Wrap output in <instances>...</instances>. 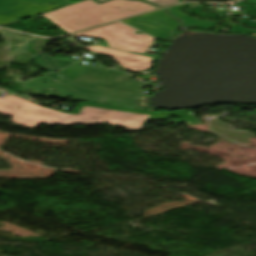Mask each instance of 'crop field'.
<instances>
[{
	"mask_svg": "<svg viewBox=\"0 0 256 256\" xmlns=\"http://www.w3.org/2000/svg\"><path fill=\"white\" fill-rule=\"evenodd\" d=\"M87 50L93 51L95 53H102L107 56L115 58L120 65H122L125 69H128L132 72H139L143 70H147L150 68V58H146L143 56L125 53L113 49H108L100 46H92V47H82Z\"/></svg>",
	"mask_w": 256,
	"mask_h": 256,
	"instance_id": "crop-field-6",
	"label": "crop field"
},
{
	"mask_svg": "<svg viewBox=\"0 0 256 256\" xmlns=\"http://www.w3.org/2000/svg\"><path fill=\"white\" fill-rule=\"evenodd\" d=\"M157 8L139 0H86L42 15L71 33Z\"/></svg>",
	"mask_w": 256,
	"mask_h": 256,
	"instance_id": "crop-field-3",
	"label": "crop field"
},
{
	"mask_svg": "<svg viewBox=\"0 0 256 256\" xmlns=\"http://www.w3.org/2000/svg\"><path fill=\"white\" fill-rule=\"evenodd\" d=\"M6 37L12 38V39H15V40H18V41H22V42L28 40L24 37H20V36H16V35H10V34H6Z\"/></svg>",
	"mask_w": 256,
	"mask_h": 256,
	"instance_id": "crop-field-13",
	"label": "crop field"
},
{
	"mask_svg": "<svg viewBox=\"0 0 256 256\" xmlns=\"http://www.w3.org/2000/svg\"><path fill=\"white\" fill-rule=\"evenodd\" d=\"M135 31L136 30L118 22L87 30L72 36L101 37L107 41L109 47L120 49L126 52L133 51L144 54L149 45L152 43L153 38L144 34H132Z\"/></svg>",
	"mask_w": 256,
	"mask_h": 256,
	"instance_id": "crop-field-4",
	"label": "crop field"
},
{
	"mask_svg": "<svg viewBox=\"0 0 256 256\" xmlns=\"http://www.w3.org/2000/svg\"><path fill=\"white\" fill-rule=\"evenodd\" d=\"M18 2L61 4V5H71L75 3L69 0H0V12H5L9 10L13 5L17 4Z\"/></svg>",
	"mask_w": 256,
	"mask_h": 256,
	"instance_id": "crop-field-9",
	"label": "crop field"
},
{
	"mask_svg": "<svg viewBox=\"0 0 256 256\" xmlns=\"http://www.w3.org/2000/svg\"><path fill=\"white\" fill-rule=\"evenodd\" d=\"M165 13L160 10L122 21L166 41L172 35L174 29L179 26V22Z\"/></svg>",
	"mask_w": 256,
	"mask_h": 256,
	"instance_id": "crop-field-5",
	"label": "crop field"
},
{
	"mask_svg": "<svg viewBox=\"0 0 256 256\" xmlns=\"http://www.w3.org/2000/svg\"><path fill=\"white\" fill-rule=\"evenodd\" d=\"M185 5H179L166 9V11L177 20L183 23L182 27H200L206 29H212L217 23L208 20L192 18L185 13L179 11Z\"/></svg>",
	"mask_w": 256,
	"mask_h": 256,
	"instance_id": "crop-field-7",
	"label": "crop field"
},
{
	"mask_svg": "<svg viewBox=\"0 0 256 256\" xmlns=\"http://www.w3.org/2000/svg\"><path fill=\"white\" fill-rule=\"evenodd\" d=\"M98 1H100V0H98ZM146 1H149L153 4H156V5L161 6V7L168 6L172 2V0H146Z\"/></svg>",
	"mask_w": 256,
	"mask_h": 256,
	"instance_id": "crop-field-11",
	"label": "crop field"
},
{
	"mask_svg": "<svg viewBox=\"0 0 256 256\" xmlns=\"http://www.w3.org/2000/svg\"><path fill=\"white\" fill-rule=\"evenodd\" d=\"M48 76L52 78L47 79L45 83L62 95L94 103L142 110L136 103L142 95L136 93L144 85L132 82L120 72L103 71L76 63L62 72ZM55 79L56 82L51 81ZM130 82L132 83L128 84ZM52 83L55 84L51 85ZM26 85L34 90L51 88L40 83L39 78L27 82ZM104 98L107 99L102 102Z\"/></svg>",
	"mask_w": 256,
	"mask_h": 256,
	"instance_id": "crop-field-2",
	"label": "crop field"
},
{
	"mask_svg": "<svg viewBox=\"0 0 256 256\" xmlns=\"http://www.w3.org/2000/svg\"><path fill=\"white\" fill-rule=\"evenodd\" d=\"M0 114L11 116L13 118L9 122L30 129L40 124L90 125L108 122L110 125L127 126V131H134L142 130L146 121L167 120L169 118V112L154 113L87 103H80L72 114H65L10 94L5 99L0 98Z\"/></svg>",
	"mask_w": 256,
	"mask_h": 256,
	"instance_id": "crop-field-1",
	"label": "crop field"
},
{
	"mask_svg": "<svg viewBox=\"0 0 256 256\" xmlns=\"http://www.w3.org/2000/svg\"><path fill=\"white\" fill-rule=\"evenodd\" d=\"M247 2H249V3H253V4H255V5H256V0H248Z\"/></svg>",
	"mask_w": 256,
	"mask_h": 256,
	"instance_id": "crop-field-14",
	"label": "crop field"
},
{
	"mask_svg": "<svg viewBox=\"0 0 256 256\" xmlns=\"http://www.w3.org/2000/svg\"><path fill=\"white\" fill-rule=\"evenodd\" d=\"M230 31L244 32V33H249V34H251V33H256V30L244 29V28H242V27H240V26H238V25L232 26L231 29H230Z\"/></svg>",
	"mask_w": 256,
	"mask_h": 256,
	"instance_id": "crop-field-12",
	"label": "crop field"
},
{
	"mask_svg": "<svg viewBox=\"0 0 256 256\" xmlns=\"http://www.w3.org/2000/svg\"><path fill=\"white\" fill-rule=\"evenodd\" d=\"M171 115H175L176 117H178L181 120V121H177L179 123H186V124L202 123L201 121L194 118L192 115H190L186 111L172 112Z\"/></svg>",
	"mask_w": 256,
	"mask_h": 256,
	"instance_id": "crop-field-10",
	"label": "crop field"
},
{
	"mask_svg": "<svg viewBox=\"0 0 256 256\" xmlns=\"http://www.w3.org/2000/svg\"><path fill=\"white\" fill-rule=\"evenodd\" d=\"M179 2H180L179 0H173L172 4H176V3H179Z\"/></svg>",
	"mask_w": 256,
	"mask_h": 256,
	"instance_id": "crop-field-15",
	"label": "crop field"
},
{
	"mask_svg": "<svg viewBox=\"0 0 256 256\" xmlns=\"http://www.w3.org/2000/svg\"><path fill=\"white\" fill-rule=\"evenodd\" d=\"M35 61L39 64L42 69H46L47 72L59 70L71 63L72 61L67 60H53L49 56L40 54L34 57Z\"/></svg>",
	"mask_w": 256,
	"mask_h": 256,
	"instance_id": "crop-field-8",
	"label": "crop field"
}]
</instances>
